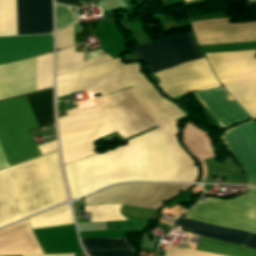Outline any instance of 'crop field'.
Masks as SVG:
<instances>
[{
    "instance_id": "obj_2",
    "label": "crop field",
    "mask_w": 256,
    "mask_h": 256,
    "mask_svg": "<svg viewBox=\"0 0 256 256\" xmlns=\"http://www.w3.org/2000/svg\"><path fill=\"white\" fill-rule=\"evenodd\" d=\"M157 126L183 116L173 104L163 100L152 87L129 88ZM129 89L110 94L139 132L155 126ZM110 95L92 98L97 108L66 112L58 119L61 152L64 163L95 154L92 140L112 131L124 139L138 133Z\"/></svg>"
},
{
    "instance_id": "obj_8",
    "label": "crop field",
    "mask_w": 256,
    "mask_h": 256,
    "mask_svg": "<svg viewBox=\"0 0 256 256\" xmlns=\"http://www.w3.org/2000/svg\"><path fill=\"white\" fill-rule=\"evenodd\" d=\"M216 78L256 117V50L205 54Z\"/></svg>"
},
{
    "instance_id": "obj_9",
    "label": "crop field",
    "mask_w": 256,
    "mask_h": 256,
    "mask_svg": "<svg viewBox=\"0 0 256 256\" xmlns=\"http://www.w3.org/2000/svg\"><path fill=\"white\" fill-rule=\"evenodd\" d=\"M186 219L256 233V187L231 200L199 201L189 210Z\"/></svg>"
},
{
    "instance_id": "obj_26",
    "label": "crop field",
    "mask_w": 256,
    "mask_h": 256,
    "mask_svg": "<svg viewBox=\"0 0 256 256\" xmlns=\"http://www.w3.org/2000/svg\"><path fill=\"white\" fill-rule=\"evenodd\" d=\"M41 155L57 150L56 140L41 146H37Z\"/></svg>"
},
{
    "instance_id": "obj_17",
    "label": "crop field",
    "mask_w": 256,
    "mask_h": 256,
    "mask_svg": "<svg viewBox=\"0 0 256 256\" xmlns=\"http://www.w3.org/2000/svg\"><path fill=\"white\" fill-rule=\"evenodd\" d=\"M74 49L75 46L56 52V76L112 59L105 55L82 61L83 53H74Z\"/></svg>"
},
{
    "instance_id": "obj_11",
    "label": "crop field",
    "mask_w": 256,
    "mask_h": 256,
    "mask_svg": "<svg viewBox=\"0 0 256 256\" xmlns=\"http://www.w3.org/2000/svg\"><path fill=\"white\" fill-rule=\"evenodd\" d=\"M175 222L173 225L183 227L187 232L256 249V234L185 219L177 218ZM195 250L227 256H256V250L205 237L200 238Z\"/></svg>"
},
{
    "instance_id": "obj_6",
    "label": "crop field",
    "mask_w": 256,
    "mask_h": 256,
    "mask_svg": "<svg viewBox=\"0 0 256 256\" xmlns=\"http://www.w3.org/2000/svg\"><path fill=\"white\" fill-rule=\"evenodd\" d=\"M52 51V35L0 38V64ZM52 86V53L36 57V90ZM35 90V57L1 65V99Z\"/></svg>"
},
{
    "instance_id": "obj_25",
    "label": "crop field",
    "mask_w": 256,
    "mask_h": 256,
    "mask_svg": "<svg viewBox=\"0 0 256 256\" xmlns=\"http://www.w3.org/2000/svg\"><path fill=\"white\" fill-rule=\"evenodd\" d=\"M89 256H133L134 252L126 250H85Z\"/></svg>"
},
{
    "instance_id": "obj_14",
    "label": "crop field",
    "mask_w": 256,
    "mask_h": 256,
    "mask_svg": "<svg viewBox=\"0 0 256 256\" xmlns=\"http://www.w3.org/2000/svg\"><path fill=\"white\" fill-rule=\"evenodd\" d=\"M195 95L222 129L252 119L224 87Z\"/></svg>"
},
{
    "instance_id": "obj_13",
    "label": "crop field",
    "mask_w": 256,
    "mask_h": 256,
    "mask_svg": "<svg viewBox=\"0 0 256 256\" xmlns=\"http://www.w3.org/2000/svg\"><path fill=\"white\" fill-rule=\"evenodd\" d=\"M223 142L240 165L249 184H256V124L253 120L237 125L222 136Z\"/></svg>"
},
{
    "instance_id": "obj_5",
    "label": "crop field",
    "mask_w": 256,
    "mask_h": 256,
    "mask_svg": "<svg viewBox=\"0 0 256 256\" xmlns=\"http://www.w3.org/2000/svg\"><path fill=\"white\" fill-rule=\"evenodd\" d=\"M53 124L52 88L1 100L0 143L10 164L40 156L28 131ZM1 145L0 168H3L10 164Z\"/></svg>"
},
{
    "instance_id": "obj_23",
    "label": "crop field",
    "mask_w": 256,
    "mask_h": 256,
    "mask_svg": "<svg viewBox=\"0 0 256 256\" xmlns=\"http://www.w3.org/2000/svg\"><path fill=\"white\" fill-rule=\"evenodd\" d=\"M73 45L72 26L56 33V50Z\"/></svg>"
},
{
    "instance_id": "obj_19",
    "label": "crop field",
    "mask_w": 256,
    "mask_h": 256,
    "mask_svg": "<svg viewBox=\"0 0 256 256\" xmlns=\"http://www.w3.org/2000/svg\"><path fill=\"white\" fill-rule=\"evenodd\" d=\"M121 205L85 206V212L91 213V222L127 220L119 212Z\"/></svg>"
},
{
    "instance_id": "obj_16",
    "label": "crop field",
    "mask_w": 256,
    "mask_h": 256,
    "mask_svg": "<svg viewBox=\"0 0 256 256\" xmlns=\"http://www.w3.org/2000/svg\"><path fill=\"white\" fill-rule=\"evenodd\" d=\"M183 143L201 161L205 178L206 166L203 159L215 155L209 136L190 122L184 127ZM204 178H202V182H204Z\"/></svg>"
},
{
    "instance_id": "obj_3",
    "label": "crop field",
    "mask_w": 256,
    "mask_h": 256,
    "mask_svg": "<svg viewBox=\"0 0 256 256\" xmlns=\"http://www.w3.org/2000/svg\"><path fill=\"white\" fill-rule=\"evenodd\" d=\"M66 199L58 152L0 171V227Z\"/></svg>"
},
{
    "instance_id": "obj_12",
    "label": "crop field",
    "mask_w": 256,
    "mask_h": 256,
    "mask_svg": "<svg viewBox=\"0 0 256 256\" xmlns=\"http://www.w3.org/2000/svg\"><path fill=\"white\" fill-rule=\"evenodd\" d=\"M188 185L125 184L113 186L86 199L84 205L126 204L156 209L163 201Z\"/></svg>"
},
{
    "instance_id": "obj_30",
    "label": "crop field",
    "mask_w": 256,
    "mask_h": 256,
    "mask_svg": "<svg viewBox=\"0 0 256 256\" xmlns=\"http://www.w3.org/2000/svg\"><path fill=\"white\" fill-rule=\"evenodd\" d=\"M184 1H186V0H184Z\"/></svg>"
},
{
    "instance_id": "obj_24",
    "label": "crop field",
    "mask_w": 256,
    "mask_h": 256,
    "mask_svg": "<svg viewBox=\"0 0 256 256\" xmlns=\"http://www.w3.org/2000/svg\"><path fill=\"white\" fill-rule=\"evenodd\" d=\"M165 256H222V255L191 251V250L169 246Z\"/></svg>"
},
{
    "instance_id": "obj_18",
    "label": "crop field",
    "mask_w": 256,
    "mask_h": 256,
    "mask_svg": "<svg viewBox=\"0 0 256 256\" xmlns=\"http://www.w3.org/2000/svg\"><path fill=\"white\" fill-rule=\"evenodd\" d=\"M32 229L73 223L70 208L63 205L28 218Z\"/></svg>"
},
{
    "instance_id": "obj_1",
    "label": "crop field",
    "mask_w": 256,
    "mask_h": 256,
    "mask_svg": "<svg viewBox=\"0 0 256 256\" xmlns=\"http://www.w3.org/2000/svg\"><path fill=\"white\" fill-rule=\"evenodd\" d=\"M71 199L126 181L193 182L196 167L176 143L175 120L110 151L65 165Z\"/></svg>"
},
{
    "instance_id": "obj_15",
    "label": "crop field",
    "mask_w": 256,
    "mask_h": 256,
    "mask_svg": "<svg viewBox=\"0 0 256 256\" xmlns=\"http://www.w3.org/2000/svg\"><path fill=\"white\" fill-rule=\"evenodd\" d=\"M44 254L27 219L0 230V256Z\"/></svg>"
},
{
    "instance_id": "obj_27",
    "label": "crop field",
    "mask_w": 256,
    "mask_h": 256,
    "mask_svg": "<svg viewBox=\"0 0 256 256\" xmlns=\"http://www.w3.org/2000/svg\"><path fill=\"white\" fill-rule=\"evenodd\" d=\"M56 2L63 3L66 5H71V0H55ZM77 0H72V4ZM82 1H94V0H82Z\"/></svg>"
},
{
    "instance_id": "obj_29",
    "label": "crop field",
    "mask_w": 256,
    "mask_h": 256,
    "mask_svg": "<svg viewBox=\"0 0 256 256\" xmlns=\"http://www.w3.org/2000/svg\"><path fill=\"white\" fill-rule=\"evenodd\" d=\"M255 122H256V118H254Z\"/></svg>"
},
{
    "instance_id": "obj_4",
    "label": "crop field",
    "mask_w": 256,
    "mask_h": 256,
    "mask_svg": "<svg viewBox=\"0 0 256 256\" xmlns=\"http://www.w3.org/2000/svg\"><path fill=\"white\" fill-rule=\"evenodd\" d=\"M133 49L138 58L148 63L153 74L187 61L203 58L190 32L133 47ZM154 75L161 81L158 84L161 89L171 97L221 86L205 58L184 63Z\"/></svg>"
},
{
    "instance_id": "obj_22",
    "label": "crop field",
    "mask_w": 256,
    "mask_h": 256,
    "mask_svg": "<svg viewBox=\"0 0 256 256\" xmlns=\"http://www.w3.org/2000/svg\"><path fill=\"white\" fill-rule=\"evenodd\" d=\"M56 31L75 23L69 7L55 4Z\"/></svg>"
},
{
    "instance_id": "obj_28",
    "label": "crop field",
    "mask_w": 256,
    "mask_h": 256,
    "mask_svg": "<svg viewBox=\"0 0 256 256\" xmlns=\"http://www.w3.org/2000/svg\"><path fill=\"white\" fill-rule=\"evenodd\" d=\"M35 256H74V254H61V255H35Z\"/></svg>"
},
{
    "instance_id": "obj_10",
    "label": "crop field",
    "mask_w": 256,
    "mask_h": 256,
    "mask_svg": "<svg viewBox=\"0 0 256 256\" xmlns=\"http://www.w3.org/2000/svg\"><path fill=\"white\" fill-rule=\"evenodd\" d=\"M16 35L52 33L51 0H15ZM14 0H0V36L15 35Z\"/></svg>"
},
{
    "instance_id": "obj_21",
    "label": "crop field",
    "mask_w": 256,
    "mask_h": 256,
    "mask_svg": "<svg viewBox=\"0 0 256 256\" xmlns=\"http://www.w3.org/2000/svg\"><path fill=\"white\" fill-rule=\"evenodd\" d=\"M121 213L127 219L155 220L158 211L145 208H136L123 205Z\"/></svg>"
},
{
    "instance_id": "obj_7",
    "label": "crop field",
    "mask_w": 256,
    "mask_h": 256,
    "mask_svg": "<svg viewBox=\"0 0 256 256\" xmlns=\"http://www.w3.org/2000/svg\"><path fill=\"white\" fill-rule=\"evenodd\" d=\"M137 64L124 66L119 58L82 70L57 76V97L77 91L105 94L133 85H151L138 72Z\"/></svg>"
},
{
    "instance_id": "obj_20",
    "label": "crop field",
    "mask_w": 256,
    "mask_h": 256,
    "mask_svg": "<svg viewBox=\"0 0 256 256\" xmlns=\"http://www.w3.org/2000/svg\"><path fill=\"white\" fill-rule=\"evenodd\" d=\"M84 248L111 249L131 247L126 243V239H103V238H80ZM132 250V249H131Z\"/></svg>"
}]
</instances>
